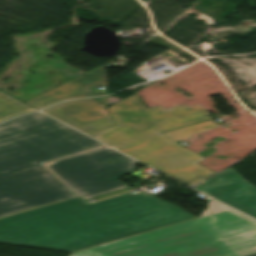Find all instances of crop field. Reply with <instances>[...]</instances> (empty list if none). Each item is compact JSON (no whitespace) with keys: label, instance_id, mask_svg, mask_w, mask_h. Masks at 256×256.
<instances>
[{"label":"crop field","instance_id":"obj_1","mask_svg":"<svg viewBox=\"0 0 256 256\" xmlns=\"http://www.w3.org/2000/svg\"><path fill=\"white\" fill-rule=\"evenodd\" d=\"M194 217L145 192L72 198L0 218V241L73 252Z\"/></svg>","mask_w":256,"mask_h":256},{"label":"crop field","instance_id":"obj_2","mask_svg":"<svg viewBox=\"0 0 256 256\" xmlns=\"http://www.w3.org/2000/svg\"><path fill=\"white\" fill-rule=\"evenodd\" d=\"M140 100L132 95L108 107L119 126L94 138L190 186L215 173L197 164L205 158L160 134L208 118L206 110L199 105L146 109Z\"/></svg>","mask_w":256,"mask_h":256},{"label":"crop field","instance_id":"obj_3","mask_svg":"<svg viewBox=\"0 0 256 256\" xmlns=\"http://www.w3.org/2000/svg\"><path fill=\"white\" fill-rule=\"evenodd\" d=\"M193 220L70 256H256V221L214 201Z\"/></svg>","mask_w":256,"mask_h":256},{"label":"crop field","instance_id":"obj_4","mask_svg":"<svg viewBox=\"0 0 256 256\" xmlns=\"http://www.w3.org/2000/svg\"><path fill=\"white\" fill-rule=\"evenodd\" d=\"M105 146L43 114L0 125V175Z\"/></svg>","mask_w":256,"mask_h":256},{"label":"crop field","instance_id":"obj_5","mask_svg":"<svg viewBox=\"0 0 256 256\" xmlns=\"http://www.w3.org/2000/svg\"><path fill=\"white\" fill-rule=\"evenodd\" d=\"M137 161L109 148H102L45 164L85 200L128 188L116 179L131 173Z\"/></svg>","mask_w":256,"mask_h":256},{"label":"crop field","instance_id":"obj_6","mask_svg":"<svg viewBox=\"0 0 256 256\" xmlns=\"http://www.w3.org/2000/svg\"><path fill=\"white\" fill-rule=\"evenodd\" d=\"M77 196L43 165L0 176V217Z\"/></svg>","mask_w":256,"mask_h":256},{"label":"crop field","instance_id":"obj_7","mask_svg":"<svg viewBox=\"0 0 256 256\" xmlns=\"http://www.w3.org/2000/svg\"><path fill=\"white\" fill-rule=\"evenodd\" d=\"M105 99L101 97L63 102L42 112L92 136L116 125L104 108Z\"/></svg>","mask_w":256,"mask_h":256},{"label":"crop field","instance_id":"obj_8","mask_svg":"<svg viewBox=\"0 0 256 256\" xmlns=\"http://www.w3.org/2000/svg\"><path fill=\"white\" fill-rule=\"evenodd\" d=\"M195 189L256 218V188L232 168Z\"/></svg>","mask_w":256,"mask_h":256},{"label":"crop field","instance_id":"obj_9","mask_svg":"<svg viewBox=\"0 0 256 256\" xmlns=\"http://www.w3.org/2000/svg\"><path fill=\"white\" fill-rule=\"evenodd\" d=\"M101 86H105V67L102 65L26 103L40 110L64 99L105 95V89H98Z\"/></svg>","mask_w":256,"mask_h":256},{"label":"crop field","instance_id":"obj_10","mask_svg":"<svg viewBox=\"0 0 256 256\" xmlns=\"http://www.w3.org/2000/svg\"><path fill=\"white\" fill-rule=\"evenodd\" d=\"M30 111L34 109L0 92V121Z\"/></svg>","mask_w":256,"mask_h":256},{"label":"crop field","instance_id":"obj_11","mask_svg":"<svg viewBox=\"0 0 256 256\" xmlns=\"http://www.w3.org/2000/svg\"><path fill=\"white\" fill-rule=\"evenodd\" d=\"M216 127L217 126L214 123L207 121V122L199 123L196 125L188 126L185 128L177 129L174 131L166 132L164 134H166L173 140L178 141V140L190 138L192 133H194V132L204 131V130H208V129H212V128H216Z\"/></svg>","mask_w":256,"mask_h":256},{"label":"crop field","instance_id":"obj_12","mask_svg":"<svg viewBox=\"0 0 256 256\" xmlns=\"http://www.w3.org/2000/svg\"><path fill=\"white\" fill-rule=\"evenodd\" d=\"M135 188H137V187L124 189V190H121V191L113 192V193L106 194V195L99 196V197H95V198H96V199L104 198V197L112 196V195L119 194V193H122V192H126V191H129V190L135 189Z\"/></svg>","mask_w":256,"mask_h":256}]
</instances>
